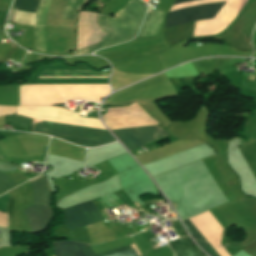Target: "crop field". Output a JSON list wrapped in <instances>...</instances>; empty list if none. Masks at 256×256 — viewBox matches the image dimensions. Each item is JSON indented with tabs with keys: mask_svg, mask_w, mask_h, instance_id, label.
Instances as JSON below:
<instances>
[{
	"mask_svg": "<svg viewBox=\"0 0 256 256\" xmlns=\"http://www.w3.org/2000/svg\"><path fill=\"white\" fill-rule=\"evenodd\" d=\"M59 109L57 107H18L16 115L53 122ZM37 120H34V133H44L79 146L93 147L116 141L107 130Z\"/></svg>",
	"mask_w": 256,
	"mask_h": 256,
	"instance_id": "crop-field-1",
	"label": "crop field"
},
{
	"mask_svg": "<svg viewBox=\"0 0 256 256\" xmlns=\"http://www.w3.org/2000/svg\"><path fill=\"white\" fill-rule=\"evenodd\" d=\"M87 0H68L64 10L62 26L76 27L77 12ZM40 0H17L15 9L36 13ZM51 0H41L35 14L11 11L8 21L33 26L34 16V49L45 52V20Z\"/></svg>",
	"mask_w": 256,
	"mask_h": 256,
	"instance_id": "crop-field-2",
	"label": "crop field"
},
{
	"mask_svg": "<svg viewBox=\"0 0 256 256\" xmlns=\"http://www.w3.org/2000/svg\"><path fill=\"white\" fill-rule=\"evenodd\" d=\"M40 176L30 180L33 181ZM34 194V206L24 209L31 226L32 233H38L46 229L51 222L53 212L50 208V188L46 178H39L31 182Z\"/></svg>",
	"mask_w": 256,
	"mask_h": 256,
	"instance_id": "crop-field-3",
	"label": "crop field"
},
{
	"mask_svg": "<svg viewBox=\"0 0 256 256\" xmlns=\"http://www.w3.org/2000/svg\"><path fill=\"white\" fill-rule=\"evenodd\" d=\"M146 9L140 0H133L113 18L112 45L135 37Z\"/></svg>",
	"mask_w": 256,
	"mask_h": 256,
	"instance_id": "crop-field-4",
	"label": "crop field"
},
{
	"mask_svg": "<svg viewBox=\"0 0 256 256\" xmlns=\"http://www.w3.org/2000/svg\"><path fill=\"white\" fill-rule=\"evenodd\" d=\"M120 141L129 149L133 150L144 144H147L157 138L167 136L168 134L158 125L135 127L128 129L111 130Z\"/></svg>",
	"mask_w": 256,
	"mask_h": 256,
	"instance_id": "crop-field-5",
	"label": "crop field"
},
{
	"mask_svg": "<svg viewBox=\"0 0 256 256\" xmlns=\"http://www.w3.org/2000/svg\"><path fill=\"white\" fill-rule=\"evenodd\" d=\"M77 207L80 209L89 224L102 221V218L92 200L77 204ZM77 207L74 205L62 210L64 214L63 226L71 231L88 225V222Z\"/></svg>",
	"mask_w": 256,
	"mask_h": 256,
	"instance_id": "crop-field-6",
	"label": "crop field"
},
{
	"mask_svg": "<svg viewBox=\"0 0 256 256\" xmlns=\"http://www.w3.org/2000/svg\"><path fill=\"white\" fill-rule=\"evenodd\" d=\"M191 1L195 0H176L172 6L184 4ZM222 2L223 0L188 9L185 11L169 14L166 18V28L213 17Z\"/></svg>",
	"mask_w": 256,
	"mask_h": 256,
	"instance_id": "crop-field-7",
	"label": "crop field"
},
{
	"mask_svg": "<svg viewBox=\"0 0 256 256\" xmlns=\"http://www.w3.org/2000/svg\"><path fill=\"white\" fill-rule=\"evenodd\" d=\"M53 243V247H54V251H55V255L56 256H84V254L86 256H105V255H109V254H113V253H117L120 251H124L127 249H131L130 245L128 246H124L118 249H114L111 251H107L101 254H97L95 255L93 250L91 249L90 245L88 244H82L80 243L81 249L84 252V254L82 253L79 244L76 242H72V241H55L52 242ZM132 248H135V244L131 245Z\"/></svg>",
	"mask_w": 256,
	"mask_h": 256,
	"instance_id": "crop-field-8",
	"label": "crop field"
},
{
	"mask_svg": "<svg viewBox=\"0 0 256 256\" xmlns=\"http://www.w3.org/2000/svg\"><path fill=\"white\" fill-rule=\"evenodd\" d=\"M172 228L180 238L168 241L172 251L176 256H204L198 252L189 242L187 237L182 232L177 221L171 222ZM171 229V228H169ZM168 230V229H167Z\"/></svg>",
	"mask_w": 256,
	"mask_h": 256,
	"instance_id": "crop-field-9",
	"label": "crop field"
},
{
	"mask_svg": "<svg viewBox=\"0 0 256 256\" xmlns=\"http://www.w3.org/2000/svg\"><path fill=\"white\" fill-rule=\"evenodd\" d=\"M55 122L105 129L102 126L99 119L80 118V117H78V115H76L68 110H65L63 108H61Z\"/></svg>",
	"mask_w": 256,
	"mask_h": 256,
	"instance_id": "crop-field-10",
	"label": "crop field"
},
{
	"mask_svg": "<svg viewBox=\"0 0 256 256\" xmlns=\"http://www.w3.org/2000/svg\"><path fill=\"white\" fill-rule=\"evenodd\" d=\"M184 223L189 228L193 239L210 255L219 256L216 251L209 245V243L203 238V236L197 231V229L190 223L188 219L184 220Z\"/></svg>",
	"mask_w": 256,
	"mask_h": 256,
	"instance_id": "crop-field-11",
	"label": "crop field"
},
{
	"mask_svg": "<svg viewBox=\"0 0 256 256\" xmlns=\"http://www.w3.org/2000/svg\"><path fill=\"white\" fill-rule=\"evenodd\" d=\"M110 73H34L33 77H109Z\"/></svg>",
	"mask_w": 256,
	"mask_h": 256,
	"instance_id": "crop-field-12",
	"label": "crop field"
},
{
	"mask_svg": "<svg viewBox=\"0 0 256 256\" xmlns=\"http://www.w3.org/2000/svg\"><path fill=\"white\" fill-rule=\"evenodd\" d=\"M17 185L14 180L0 173V193Z\"/></svg>",
	"mask_w": 256,
	"mask_h": 256,
	"instance_id": "crop-field-13",
	"label": "crop field"
},
{
	"mask_svg": "<svg viewBox=\"0 0 256 256\" xmlns=\"http://www.w3.org/2000/svg\"><path fill=\"white\" fill-rule=\"evenodd\" d=\"M135 251L137 252L138 256H141L139 251L137 250V248H135ZM135 251H134V249H132V250L120 252V253H117V254H113V255H110V256H137Z\"/></svg>",
	"mask_w": 256,
	"mask_h": 256,
	"instance_id": "crop-field-14",
	"label": "crop field"
},
{
	"mask_svg": "<svg viewBox=\"0 0 256 256\" xmlns=\"http://www.w3.org/2000/svg\"><path fill=\"white\" fill-rule=\"evenodd\" d=\"M14 113H15V107L0 106V116L1 115L14 114Z\"/></svg>",
	"mask_w": 256,
	"mask_h": 256,
	"instance_id": "crop-field-15",
	"label": "crop field"
},
{
	"mask_svg": "<svg viewBox=\"0 0 256 256\" xmlns=\"http://www.w3.org/2000/svg\"><path fill=\"white\" fill-rule=\"evenodd\" d=\"M150 12H151V11H149V10H148L146 14H148V15H149V14H150Z\"/></svg>",
	"mask_w": 256,
	"mask_h": 256,
	"instance_id": "crop-field-16",
	"label": "crop field"
}]
</instances>
